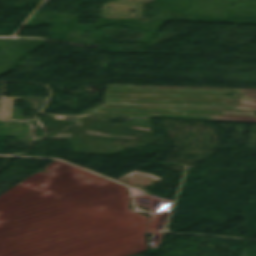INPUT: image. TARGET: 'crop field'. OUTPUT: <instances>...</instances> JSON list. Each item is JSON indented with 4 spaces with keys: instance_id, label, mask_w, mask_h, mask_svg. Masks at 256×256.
Instances as JSON below:
<instances>
[{
    "instance_id": "obj_1",
    "label": "crop field",
    "mask_w": 256,
    "mask_h": 256,
    "mask_svg": "<svg viewBox=\"0 0 256 256\" xmlns=\"http://www.w3.org/2000/svg\"><path fill=\"white\" fill-rule=\"evenodd\" d=\"M227 93L246 96H226ZM83 112L98 116H164L256 122V90L108 85L105 103Z\"/></svg>"
},
{
    "instance_id": "obj_2",
    "label": "crop field",
    "mask_w": 256,
    "mask_h": 256,
    "mask_svg": "<svg viewBox=\"0 0 256 256\" xmlns=\"http://www.w3.org/2000/svg\"><path fill=\"white\" fill-rule=\"evenodd\" d=\"M13 98L2 97L0 119L10 120Z\"/></svg>"
}]
</instances>
